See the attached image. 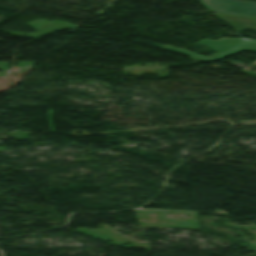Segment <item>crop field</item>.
Segmentation results:
<instances>
[{
  "instance_id": "crop-field-1",
  "label": "crop field",
  "mask_w": 256,
  "mask_h": 256,
  "mask_svg": "<svg viewBox=\"0 0 256 256\" xmlns=\"http://www.w3.org/2000/svg\"><path fill=\"white\" fill-rule=\"evenodd\" d=\"M216 18L224 21L229 26H231L236 32H240L242 30H252L256 31V18L251 17H237V16H226V15H218L213 14ZM197 45H204L216 51L215 54L205 57L201 55H197L191 53L190 51L170 45H161L152 43L153 46L187 54L192 59L197 61H210V60H221L229 55L234 53L250 50L256 52V40L255 39H247V38H220L218 40H209L204 39L202 41L196 42Z\"/></svg>"
},
{
  "instance_id": "crop-field-2",
  "label": "crop field",
  "mask_w": 256,
  "mask_h": 256,
  "mask_svg": "<svg viewBox=\"0 0 256 256\" xmlns=\"http://www.w3.org/2000/svg\"><path fill=\"white\" fill-rule=\"evenodd\" d=\"M213 12L256 16V3L241 0H202Z\"/></svg>"
},
{
  "instance_id": "crop-field-3",
  "label": "crop field",
  "mask_w": 256,
  "mask_h": 256,
  "mask_svg": "<svg viewBox=\"0 0 256 256\" xmlns=\"http://www.w3.org/2000/svg\"><path fill=\"white\" fill-rule=\"evenodd\" d=\"M252 64H256V61H254Z\"/></svg>"
}]
</instances>
